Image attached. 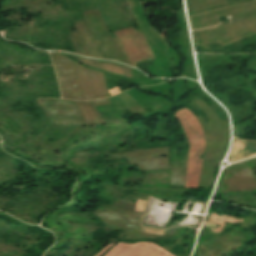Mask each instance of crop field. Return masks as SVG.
Masks as SVG:
<instances>
[{"instance_id": "3", "label": "crop field", "mask_w": 256, "mask_h": 256, "mask_svg": "<svg viewBox=\"0 0 256 256\" xmlns=\"http://www.w3.org/2000/svg\"><path fill=\"white\" fill-rule=\"evenodd\" d=\"M202 165L188 166L185 187L197 188Z\"/></svg>"}, {"instance_id": "2", "label": "crop field", "mask_w": 256, "mask_h": 256, "mask_svg": "<svg viewBox=\"0 0 256 256\" xmlns=\"http://www.w3.org/2000/svg\"><path fill=\"white\" fill-rule=\"evenodd\" d=\"M104 256H172L159 246L140 242L137 244L118 243Z\"/></svg>"}, {"instance_id": "1", "label": "crop field", "mask_w": 256, "mask_h": 256, "mask_svg": "<svg viewBox=\"0 0 256 256\" xmlns=\"http://www.w3.org/2000/svg\"><path fill=\"white\" fill-rule=\"evenodd\" d=\"M175 116L179 119L190 142L188 164L202 163L199 156L204 152L205 139L198 120L186 108L177 112Z\"/></svg>"}, {"instance_id": "4", "label": "crop field", "mask_w": 256, "mask_h": 256, "mask_svg": "<svg viewBox=\"0 0 256 256\" xmlns=\"http://www.w3.org/2000/svg\"><path fill=\"white\" fill-rule=\"evenodd\" d=\"M114 244H116V243H112V244H110L108 247H106V248H104L102 251H100L97 255H95V256H100L102 253H104L108 248H110L112 245H114Z\"/></svg>"}]
</instances>
